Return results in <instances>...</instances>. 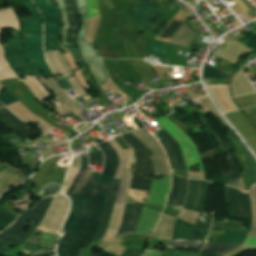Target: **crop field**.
Returning a JSON list of instances; mask_svg holds the SVG:
<instances>
[{"mask_svg":"<svg viewBox=\"0 0 256 256\" xmlns=\"http://www.w3.org/2000/svg\"><path fill=\"white\" fill-rule=\"evenodd\" d=\"M210 231H201L192 229L188 240H202L206 239Z\"/></svg>","mask_w":256,"mask_h":256,"instance_id":"43","label":"crop field"},{"mask_svg":"<svg viewBox=\"0 0 256 256\" xmlns=\"http://www.w3.org/2000/svg\"><path fill=\"white\" fill-rule=\"evenodd\" d=\"M252 202H253V210H254V222H253V229L251 233H256V186L251 188L250 190Z\"/></svg>","mask_w":256,"mask_h":256,"instance_id":"45","label":"crop field"},{"mask_svg":"<svg viewBox=\"0 0 256 256\" xmlns=\"http://www.w3.org/2000/svg\"><path fill=\"white\" fill-rule=\"evenodd\" d=\"M91 66V73L99 87L105 84L108 79V74L102 67V59L84 61Z\"/></svg>","mask_w":256,"mask_h":256,"instance_id":"27","label":"crop field"},{"mask_svg":"<svg viewBox=\"0 0 256 256\" xmlns=\"http://www.w3.org/2000/svg\"><path fill=\"white\" fill-rule=\"evenodd\" d=\"M162 253L158 250L146 251L143 256H160Z\"/></svg>","mask_w":256,"mask_h":256,"instance_id":"53","label":"crop field"},{"mask_svg":"<svg viewBox=\"0 0 256 256\" xmlns=\"http://www.w3.org/2000/svg\"><path fill=\"white\" fill-rule=\"evenodd\" d=\"M112 141V143L115 145V147L118 149L120 155H121V159H122V164H121V167H120V170H119V173H118V176L116 179H121L122 177V174H123V171L125 169V164H126V154L125 152L123 151V149L120 147V145L116 142V140L114 138L110 139ZM109 140V141H110ZM110 141V143H111ZM111 143V145L114 147V145ZM114 147V149L116 150V148ZM117 151V150H116ZM118 153V152H117ZM119 156V154H118ZM120 158V156H119ZM121 159H120V163H121ZM123 178V177H122ZM116 181L117 180H114L113 182V185L116 184ZM120 181L121 180H118L117 181V184L116 186H113L112 188V194H115L117 195L118 193V190L120 188ZM122 182V181H121ZM116 197L117 196H114V195H111V191H110V194H109V197H108V200H107V203H106V208H105V214H104V218H103V222H102V225L100 227V231L96 237V239L94 240V242H97V241H101L108 229V226H109V222H110V219H111V216H112V213H113V210H114V206H115V201H116Z\"/></svg>","mask_w":256,"mask_h":256,"instance_id":"9","label":"crop field"},{"mask_svg":"<svg viewBox=\"0 0 256 256\" xmlns=\"http://www.w3.org/2000/svg\"><path fill=\"white\" fill-rule=\"evenodd\" d=\"M239 41L245 44L249 49L253 51L256 50V33L253 35H248Z\"/></svg>","mask_w":256,"mask_h":256,"instance_id":"42","label":"crop field"},{"mask_svg":"<svg viewBox=\"0 0 256 256\" xmlns=\"http://www.w3.org/2000/svg\"><path fill=\"white\" fill-rule=\"evenodd\" d=\"M123 138L134 149L137 159L130 189L150 192L153 179L144 178V175L154 174V167L146 153L147 147L132 133L123 135Z\"/></svg>","mask_w":256,"mask_h":256,"instance_id":"6","label":"crop field"},{"mask_svg":"<svg viewBox=\"0 0 256 256\" xmlns=\"http://www.w3.org/2000/svg\"><path fill=\"white\" fill-rule=\"evenodd\" d=\"M79 3L80 12L82 15V29L79 33L78 46L83 59L97 57L95 48L88 44L85 40V19L87 14L86 0H77Z\"/></svg>","mask_w":256,"mask_h":256,"instance_id":"20","label":"crop field"},{"mask_svg":"<svg viewBox=\"0 0 256 256\" xmlns=\"http://www.w3.org/2000/svg\"><path fill=\"white\" fill-rule=\"evenodd\" d=\"M204 80V82H207V80L206 79H203Z\"/></svg>","mask_w":256,"mask_h":256,"instance_id":"56","label":"crop field"},{"mask_svg":"<svg viewBox=\"0 0 256 256\" xmlns=\"http://www.w3.org/2000/svg\"><path fill=\"white\" fill-rule=\"evenodd\" d=\"M192 226L193 225L178 218L174 226L173 241L187 240Z\"/></svg>","mask_w":256,"mask_h":256,"instance_id":"33","label":"crop field"},{"mask_svg":"<svg viewBox=\"0 0 256 256\" xmlns=\"http://www.w3.org/2000/svg\"><path fill=\"white\" fill-rule=\"evenodd\" d=\"M156 135L162 139L160 142L167 152L171 168L186 170L183 156L175 140L164 130L156 133Z\"/></svg>","mask_w":256,"mask_h":256,"instance_id":"13","label":"crop field"},{"mask_svg":"<svg viewBox=\"0 0 256 256\" xmlns=\"http://www.w3.org/2000/svg\"><path fill=\"white\" fill-rule=\"evenodd\" d=\"M105 166L100 172L89 170L72 197V208L58 244V256H78L94 240L101 225L106 197L119 166V158L109 142L100 144Z\"/></svg>","mask_w":256,"mask_h":256,"instance_id":"1","label":"crop field"},{"mask_svg":"<svg viewBox=\"0 0 256 256\" xmlns=\"http://www.w3.org/2000/svg\"><path fill=\"white\" fill-rule=\"evenodd\" d=\"M13 34L16 40L10 41L11 46H4L8 63L16 72L17 76H35L26 61L21 31L14 32ZM16 69H20L24 73L20 74ZM29 72H32L34 75H30Z\"/></svg>","mask_w":256,"mask_h":256,"instance_id":"10","label":"crop field"},{"mask_svg":"<svg viewBox=\"0 0 256 256\" xmlns=\"http://www.w3.org/2000/svg\"><path fill=\"white\" fill-rule=\"evenodd\" d=\"M246 236H247V234L235 233V232L228 231L226 234H224L223 236H221L213 241L244 243Z\"/></svg>","mask_w":256,"mask_h":256,"instance_id":"34","label":"crop field"},{"mask_svg":"<svg viewBox=\"0 0 256 256\" xmlns=\"http://www.w3.org/2000/svg\"><path fill=\"white\" fill-rule=\"evenodd\" d=\"M33 13V18L23 20V34H31V37L25 38L26 53L29 56L30 64L37 76L53 77V73L45 61L43 53V37H42V18L35 4L32 2L27 5ZM38 68L45 70L44 75L38 74Z\"/></svg>","mask_w":256,"mask_h":256,"instance_id":"3","label":"crop field"},{"mask_svg":"<svg viewBox=\"0 0 256 256\" xmlns=\"http://www.w3.org/2000/svg\"><path fill=\"white\" fill-rule=\"evenodd\" d=\"M240 246V244H230V243H214L211 242L208 244V246L205 248L204 252L216 254L222 256L224 253ZM202 253L201 256H216L208 253Z\"/></svg>","mask_w":256,"mask_h":256,"instance_id":"30","label":"crop field"},{"mask_svg":"<svg viewBox=\"0 0 256 256\" xmlns=\"http://www.w3.org/2000/svg\"><path fill=\"white\" fill-rule=\"evenodd\" d=\"M69 82L81 96L86 95L84 88L81 86V84L77 81L76 78L69 79Z\"/></svg>","mask_w":256,"mask_h":256,"instance_id":"48","label":"crop field"},{"mask_svg":"<svg viewBox=\"0 0 256 256\" xmlns=\"http://www.w3.org/2000/svg\"><path fill=\"white\" fill-rule=\"evenodd\" d=\"M25 172L21 174L20 171L13 169L10 166H4L0 169V195L4 193L6 190L10 189L11 186H17L24 180L19 177L23 175Z\"/></svg>","mask_w":256,"mask_h":256,"instance_id":"21","label":"crop field"},{"mask_svg":"<svg viewBox=\"0 0 256 256\" xmlns=\"http://www.w3.org/2000/svg\"><path fill=\"white\" fill-rule=\"evenodd\" d=\"M131 172H132V169L126 168L123 182H122V185H121V188L119 191V195L117 198L116 207H115L112 219H111V223H110L108 232L104 238V240H106V241H110L114 237V235L120 225L123 208H124L125 196L127 194L129 184H130Z\"/></svg>","mask_w":256,"mask_h":256,"instance_id":"11","label":"crop field"},{"mask_svg":"<svg viewBox=\"0 0 256 256\" xmlns=\"http://www.w3.org/2000/svg\"><path fill=\"white\" fill-rule=\"evenodd\" d=\"M68 6L70 8L72 21L74 24H77V28H72L70 44H77V36L80 30V19H79V12H78V4L76 0H66Z\"/></svg>","mask_w":256,"mask_h":256,"instance_id":"31","label":"crop field"},{"mask_svg":"<svg viewBox=\"0 0 256 256\" xmlns=\"http://www.w3.org/2000/svg\"><path fill=\"white\" fill-rule=\"evenodd\" d=\"M190 193L184 208L202 212L205 197V181L189 180Z\"/></svg>","mask_w":256,"mask_h":256,"instance_id":"17","label":"crop field"},{"mask_svg":"<svg viewBox=\"0 0 256 256\" xmlns=\"http://www.w3.org/2000/svg\"><path fill=\"white\" fill-rule=\"evenodd\" d=\"M243 246L256 247V238L248 237Z\"/></svg>","mask_w":256,"mask_h":256,"instance_id":"51","label":"crop field"},{"mask_svg":"<svg viewBox=\"0 0 256 256\" xmlns=\"http://www.w3.org/2000/svg\"><path fill=\"white\" fill-rule=\"evenodd\" d=\"M0 101L5 106H7V105L17 101V99L15 97H13L12 94L9 91H7V92L0 95Z\"/></svg>","mask_w":256,"mask_h":256,"instance_id":"46","label":"crop field"},{"mask_svg":"<svg viewBox=\"0 0 256 256\" xmlns=\"http://www.w3.org/2000/svg\"><path fill=\"white\" fill-rule=\"evenodd\" d=\"M196 36L197 35L184 23L169 42L188 47Z\"/></svg>","mask_w":256,"mask_h":256,"instance_id":"25","label":"crop field"},{"mask_svg":"<svg viewBox=\"0 0 256 256\" xmlns=\"http://www.w3.org/2000/svg\"><path fill=\"white\" fill-rule=\"evenodd\" d=\"M141 206H137L131 203L126 204V209L123 217V221L120 226V230L117 236L123 238L129 234L135 233L138 226L140 214L142 212Z\"/></svg>","mask_w":256,"mask_h":256,"instance_id":"15","label":"crop field"},{"mask_svg":"<svg viewBox=\"0 0 256 256\" xmlns=\"http://www.w3.org/2000/svg\"><path fill=\"white\" fill-rule=\"evenodd\" d=\"M232 74L205 66L204 78H230Z\"/></svg>","mask_w":256,"mask_h":256,"instance_id":"39","label":"crop field"},{"mask_svg":"<svg viewBox=\"0 0 256 256\" xmlns=\"http://www.w3.org/2000/svg\"><path fill=\"white\" fill-rule=\"evenodd\" d=\"M57 1L59 2V6L63 10V13H64L63 39L65 42V46H68V32L70 30L71 23H70L68 11L66 9L64 0H57Z\"/></svg>","mask_w":256,"mask_h":256,"instance_id":"35","label":"crop field"},{"mask_svg":"<svg viewBox=\"0 0 256 256\" xmlns=\"http://www.w3.org/2000/svg\"><path fill=\"white\" fill-rule=\"evenodd\" d=\"M173 187L171 197H169L168 206H183L188 192V179L176 176L173 172ZM182 209V207H178Z\"/></svg>","mask_w":256,"mask_h":256,"instance_id":"19","label":"crop field"},{"mask_svg":"<svg viewBox=\"0 0 256 256\" xmlns=\"http://www.w3.org/2000/svg\"><path fill=\"white\" fill-rule=\"evenodd\" d=\"M23 81L40 100V102L50 96L38 78L27 77V79H24Z\"/></svg>","mask_w":256,"mask_h":256,"instance_id":"32","label":"crop field"},{"mask_svg":"<svg viewBox=\"0 0 256 256\" xmlns=\"http://www.w3.org/2000/svg\"><path fill=\"white\" fill-rule=\"evenodd\" d=\"M230 135L241 147L242 155L248 171L246 173H243L242 177L247 189H249L250 187L256 184V160L250 154V152L243 146V144L240 142V140L236 137L234 133Z\"/></svg>","mask_w":256,"mask_h":256,"instance_id":"18","label":"crop field"},{"mask_svg":"<svg viewBox=\"0 0 256 256\" xmlns=\"http://www.w3.org/2000/svg\"><path fill=\"white\" fill-rule=\"evenodd\" d=\"M45 17V51H52L53 47L60 50L61 15L54 0H34ZM52 39L58 42L53 43ZM46 58L55 73L62 72L64 76L71 71L60 51L45 52Z\"/></svg>","mask_w":256,"mask_h":256,"instance_id":"2","label":"crop field"},{"mask_svg":"<svg viewBox=\"0 0 256 256\" xmlns=\"http://www.w3.org/2000/svg\"><path fill=\"white\" fill-rule=\"evenodd\" d=\"M2 27H13L20 29L19 20L12 7L0 11V34Z\"/></svg>","mask_w":256,"mask_h":256,"instance_id":"29","label":"crop field"},{"mask_svg":"<svg viewBox=\"0 0 256 256\" xmlns=\"http://www.w3.org/2000/svg\"><path fill=\"white\" fill-rule=\"evenodd\" d=\"M227 201L233 204L231 216L252 219L249 195L240 190L227 186Z\"/></svg>","mask_w":256,"mask_h":256,"instance_id":"12","label":"crop field"},{"mask_svg":"<svg viewBox=\"0 0 256 256\" xmlns=\"http://www.w3.org/2000/svg\"><path fill=\"white\" fill-rule=\"evenodd\" d=\"M151 1L152 0H138L131 9V19L140 28L159 7V5Z\"/></svg>","mask_w":256,"mask_h":256,"instance_id":"16","label":"crop field"},{"mask_svg":"<svg viewBox=\"0 0 256 256\" xmlns=\"http://www.w3.org/2000/svg\"><path fill=\"white\" fill-rule=\"evenodd\" d=\"M149 41L150 52L152 55L161 59L162 63L166 65V59L164 55L163 45L160 42Z\"/></svg>","mask_w":256,"mask_h":256,"instance_id":"37","label":"crop field"},{"mask_svg":"<svg viewBox=\"0 0 256 256\" xmlns=\"http://www.w3.org/2000/svg\"><path fill=\"white\" fill-rule=\"evenodd\" d=\"M91 256H98V255H94V254H92Z\"/></svg>","mask_w":256,"mask_h":256,"instance_id":"55","label":"crop field"},{"mask_svg":"<svg viewBox=\"0 0 256 256\" xmlns=\"http://www.w3.org/2000/svg\"><path fill=\"white\" fill-rule=\"evenodd\" d=\"M174 220L175 218L163 214L155 230V238L171 239V228Z\"/></svg>","mask_w":256,"mask_h":256,"instance_id":"26","label":"crop field"},{"mask_svg":"<svg viewBox=\"0 0 256 256\" xmlns=\"http://www.w3.org/2000/svg\"><path fill=\"white\" fill-rule=\"evenodd\" d=\"M158 123L163 126L168 132H170L177 143L179 144L188 166V171H191L190 167L199 164L200 172H204L202 168L201 161L198 156V151L196 145L190 139L188 135L178 129L172 122H170L166 117L157 119Z\"/></svg>","mask_w":256,"mask_h":256,"instance_id":"8","label":"crop field"},{"mask_svg":"<svg viewBox=\"0 0 256 256\" xmlns=\"http://www.w3.org/2000/svg\"><path fill=\"white\" fill-rule=\"evenodd\" d=\"M55 252H47V253H41V254H36L34 256H54Z\"/></svg>","mask_w":256,"mask_h":256,"instance_id":"54","label":"crop field"},{"mask_svg":"<svg viewBox=\"0 0 256 256\" xmlns=\"http://www.w3.org/2000/svg\"><path fill=\"white\" fill-rule=\"evenodd\" d=\"M169 23L163 18L157 25V27L155 29H153L152 31L156 32V33H160Z\"/></svg>","mask_w":256,"mask_h":256,"instance_id":"49","label":"crop field"},{"mask_svg":"<svg viewBox=\"0 0 256 256\" xmlns=\"http://www.w3.org/2000/svg\"><path fill=\"white\" fill-rule=\"evenodd\" d=\"M87 168H88V156L82 157V169H81V156L78 155L73 159L71 168H70L69 173H68L67 181H66V184H65L64 193L67 192L68 188L72 184L73 180L77 176L80 169H81V171L78 174V176L76 177L75 181L73 182V184L71 185L70 189L68 190V192L66 194L70 198H71V195L74 193L77 185L83 179V177H84V175L87 171Z\"/></svg>","mask_w":256,"mask_h":256,"instance_id":"14","label":"crop field"},{"mask_svg":"<svg viewBox=\"0 0 256 256\" xmlns=\"http://www.w3.org/2000/svg\"><path fill=\"white\" fill-rule=\"evenodd\" d=\"M17 217L2 209L0 210V231L11 225Z\"/></svg>","mask_w":256,"mask_h":256,"instance_id":"38","label":"crop field"},{"mask_svg":"<svg viewBox=\"0 0 256 256\" xmlns=\"http://www.w3.org/2000/svg\"><path fill=\"white\" fill-rule=\"evenodd\" d=\"M42 83L46 84L49 88H51L56 95L58 96L55 98L62 106H67L71 103L70 97L65 93V91L61 88L59 83L56 81V79L49 78L47 80L40 78Z\"/></svg>","mask_w":256,"mask_h":256,"instance_id":"28","label":"crop field"},{"mask_svg":"<svg viewBox=\"0 0 256 256\" xmlns=\"http://www.w3.org/2000/svg\"><path fill=\"white\" fill-rule=\"evenodd\" d=\"M204 122L208 125L210 130L218 137L222 147L227 149V151L229 153V156H230V158L228 160V163H229L230 168H231V173H230V175H224V176H225V179H226L227 182L236 184L237 183L236 181L239 180V178H240V172H239L238 165L235 161V158L233 157V155L230 152L228 143L223 138V136L220 135L207 120L204 121Z\"/></svg>","mask_w":256,"mask_h":256,"instance_id":"22","label":"crop field"},{"mask_svg":"<svg viewBox=\"0 0 256 256\" xmlns=\"http://www.w3.org/2000/svg\"><path fill=\"white\" fill-rule=\"evenodd\" d=\"M134 135L138 137L141 141H143L146 144V146H148L153 151L154 156H152V158L156 169V176L170 174V168L167 162L165 151L159 144V142L156 139H154L145 129L134 133ZM150 144H153L154 146L151 148L149 146ZM170 185V175H167V177L162 181H154L151 190V195L147 203L164 205L166 202L167 194L170 191Z\"/></svg>","mask_w":256,"mask_h":256,"instance_id":"4","label":"crop field"},{"mask_svg":"<svg viewBox=\"0 0 256 256\" xmlns=\"http://www.w3.org/2000/svg\"><path fill=\"white\" fill-rule=\"evenodd\" d=\"M183 21H175L173 20L167 28L160 35L161 38H171L172 35L177 31V29L183 24Z\"/></svg>","mask_w":256,"mask_h":256,"instance_id":"40","label":"crop field"},{"mask_svg":"<svg viewBox=\"0 0 256 256\" xmlns=\"http://www.w3.org/2000/svg\"><path fill=\"white\" fill-rule=\"evenodd\" d=\"M64 196L62 193L55 196L44 220L37 227L38 230L61 235L63 221L70 209V200Z\"/></svg>","mask_w":256,"mask_h":256,"instance_id":"7","label":"crop field"},{"mask_svg":"<svg viewBox=\"0 0 256 256\" xmlns=\"http://www.w3.org/2000/svg\"><path fill=\"white\" fill-rule=\"evenodd\" d=\"M59 81L66 90L73 89L66 78L59 79Z\"/></svg>","mask_w":256,"mask_h":256,"instance_id":"52","label":"crop field"},{"mask_svg":"<svg viewBox=\"0 0 256 256\" xmlns=\"http://www.w3.org/2000/svg\"><path fill=\"white\" fill-rule=\"evenodd\" d=\"M162 17L161 13L159 12V9L156 11V13L146 22L144 27L151 30V28L159 21V19Z\"/></svg>","mask_w":256,"mask_h":256,"instance_id":"47","label":"crop field"},{"mask_svg":"<svg viewBox=\"0 0 256 256\" xmlns=\"http://www.w3.org/2000/svg\"><path fill=\"white\" fill-rule=\"evenodd\" d=\"M52 199L53 197L46 199L36 204L34 209L25 211L26 213L20 216L13 226L0 234V256L8 252V250L2 248L3 245L13 242L22 243L34 232L44 218ZM25 221H32L33 223L27 224ZM29 225H33L31 231L28 234H24L22 230Z\"/></svg>","mask_w":256,"mask_h":256,"instance_id":"5","label":"crop field"},{"mask_svg":"<svg viewBox=\"0 0 256 256\" xmlns=\"http://www.w3.org/2000/svg\"><path fill=\"white\" fill-rule=\"evenodd\" d=\"M200 253L192 252V251H179L172 248L167 247L165 253L162 256H199Z\"/></svg>","mask_w":256,"mask_h":256,"instance_id":"41","label":"crop field"},{"mask_svg":"<svg viewBox=\"0 0 256 256\" xmlns=\"http://www.w3.org/2000/svg\"><path fill=\"white\" fill-rule=\"evenodd\" d=\"M14 77H15V75L9 69V67L4 59L3 49L0 44V80L6 79V78H14Z\"/></svg>","mask_w":256,"mask_h":256,"instance_id":"36","label":"crop field"},{"mask_svg":"<svg viewBox=\"0 0 256 256\" xmlns=\"http://www.w3.org/2000/svg\"><path fill=\"white\" fill-rule=\"evenodd\" d=\"M0 119L8 125L10 128L18 131L20 134L25 136H32L26 129V125L21 122L17 117H15L10 111L0 104Z\"/></svg>","mask_w":256,"mask_h":256,"instance_id":"23","label":"crop field"},{"mask_svg":"<svg viewBox=\"0 0 256 256\" xmlns=\"http://www.w3.org/2000/svg\"><path fill=\"white\" fill-rule=\"evenodd\" d=\"M89 154H90V164L103 166V158H102V152L101 151L92 152V153H89Z\"/></svg>","mask_w":256,"mask_h":256,"instance_id":"44","label":"crop field"},{"mask_svg":"<svg viewBox=\"0 0 256 256\" xmlns=\"http://www.w3.org/2000/svg\"><path fill=\"white\" fill-rule=\"evenodd\" d=\"M160 212H156L150 209H144L141 220L139 222L136 234L143 235L152 232L156 226ZM145 223H148L145 225Z\"/></svg>","mask_w":256,"mask_h":256,"instance_id":"24","label":"crop field"},{"mask_svg":"<svg viewBox=\"0 0 256 256\" xmlns=\"http://www.w3.org/2000/svg\"><path fill=\"white\" fill-rule=\"evenodd\" d=\"M134 250H136L135 248H129L122 256H129ZM142 253H140L139 251H134L130 256H141Z\"/></svg>","mask_w":256,"mask_h":256,"instance_id":"50","label":"crop field"}]
</instances>
